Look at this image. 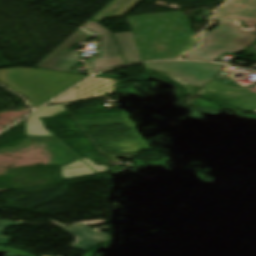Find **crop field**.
Instances as JSON below:
<instances>
[{
	"label": "crop field",
	"mask_w": 256,
	"mask_h": 256,
	"mask_svg": "<svg viewBox=\"0 0 256 256\" xmlns=\"http://www.w3.org/2000/svg\"><path fill=\"white\" fill-rule=\"evenodd\" d=\"M127 19L142 61L178 58L199 43L180 11Z\"/></svg>",
	"instance_id": "8a807250"
},
{
	"label": "crop field",
	"mask_w": 256,
	"mask_h": 256,
	"mask_svg": "<svg viewBox=\"0 0 256 256\" xmlns=\"http://www.w3.org/2000/svg\"><path fill=\"white\" fill-rule=\"evenodd\" d=\"M218 26L205 32L202 45L189 52L187 59L214 61L224 52L236 53L248 47L255 39L241 31L235 19L256 22V0H230L216 12Z\"/></svg>",
	"instance_id": "ac0d7876"
},
{
	"label": "crop field",
	"mask_w": 256,
	"mask_h": 256,
	"mask_svg": "<svg viewBox=\"0 0 256 256\" xmlns=\"http://www.w3.org/2000/svg\"><path fill=\"white\" fill-rule=\"evenodd\" d=\"M91 31L103 37L101 43L99 44L101 46L100 52L102 57H97L94 59V62L87 63L92 73L125 63L120 55L112 34L102 25L90 20L36 66L69 72L80 62L77 61L74 54L68 50Z\"/></svg>",
	"instance_id": "34b2d1b8"
},
{
	"label": "crop field",
	"mask_w": 256,
	"mask_h": 256,
	"mask_svg": "<svg viewBox=\"0 0 256 256\" xmlns=\"http://www.w3.org/2000/svg\"><path fill=\"white\" fill-rule=\"evenodd\" d=\"M146 68L182 80L188 85L183 93L192 95L224 66L203 62H160L144 64Z\"/></svg>",
	"instance_id": "412701ff"
},
{
	"label": "crop field",
	"mask_w": 256,
	"mask_h": 256,
	"mask_svg": "<svg viewBox=\"0 0 256 256\" xmlns=\"http://www.w3.org/2000/svg\"><path fill=\"white\" fill-rule=\"evenodd\" d=\"M196 95L249 112L256 109V85L245 90L233 83L213 79Z\"/></svg>",
	"instance_id": "f4fd0767"
},
{
	"label": "crop field",
	"mask_w": 256,
	"mask_h": 256,
	"mask_svg": "<svg viewBox=\"0 0 256 256\" xmlns=\"http://www.w3.org/2000/svg\"><path fill=\"white\" fill-rule=\"evenodd\" d=\"M63 227L67 232L77 236V242L71 247L72 249L86 251L100 241L107 240L108 235L98 232V228L91 230L85 224H77L71 228ZM101 243V242H100Z\"/></svg>",
	"instance_id": "dd49c442"
},
{
	"label": "crop field",
	"mask_w": 256,
	"mask_h": 256,
	"mask_svg": "<svg viewBox=\"0 0 256 256\" xmlns=\"http://www.w3.org/2000/svg\"><path fill=\"white\" fill-rule=\"evenodd\" d=\"M115 93V80L92 78L79 85L80 100L107 96Z\"/></svg>",
	"instance_id": "e52e79f7"
},
{
	"label": "crop field",
	"mask_w": 256,
	"mask_h": 256,
	"mask_svg": "<svg viewBox=\"0 0 256 256\" xmlns=\"http://www.w3.org/2000/svg\"><path fill=\"white\" fill-rule=\"evenodd\" d=\"M139 1L140 0H114L93 19L100 23L104 18L122 16Z\"/></svg>",
	"instance_id": "d8731c3e"
},
{
	"label": "crop field",
	"mask_w": 256,
	"mask_h": 256,
	"mask_svg": "<svg viewBox=\"0 0 256 256\" xmlns=\"http://www.w3.org/2000/svg\"><path fill=\"white\" fill-rule=\"evenodd\" d=\"M127 63L141 61L130 32L114 34Z\"/></svg>",
	"instance_id": "5a996713"
},
{
	"label": "crop field",
	"mask_w": 256,
	"mask_h": 256,
	"mask_svg": "<svg viewBox=\"0 0 256 256\" xmlns=\"http://www.w3.org/2000/svg\"><path fill=\"white\" fill-rule=\"evenodd\" d=\"M79 97H78V87L73 89L72 91L66 93L65 95L61 96L60 98L56 99L55 101H53L50 104H54V103H58V102H74V101H78Z\"/></svg>",
	"instance_id": "3316defc"
},
{
	"label": "crop field",
	"mask_w": 256,
	"mask_h": 256,
	"mask_svg": "<svg viewBox=\"0 0 256 256\" xmlns=\"http://www.w3.org/2000/svg\"><path fill=\"white\" fill-rule=\"evenodd\" d=\"M9 225L18 226L19 224L0 221V244L7 245L8 243L9 238L1 236L3 234L4 229L7 228Z\"/></svg>",
	"instance_id": "28ad6ade"
},
{
	"label": "crop field",
	"mask_w": 256,
	"mask_h": 256,
	"mask_svg": "<svg viewBox=\"0 0 256 256\" xmlns=\"http://www.w3.org/2000/svg\"><path fill=\"white\" fill-rule=\"evenodd\" d=\"M98 77H108V78L120 79L119 76L105 75V74H100V75H98Z\"/></svg>",
	"instance_id": "d1516ede"
},
{
	"label": "crop field",
	"mask_w": 256,
	"mask_h": 256,
	"mask_svg": "<svg viewBox=\"0 0 256 256\" xmlns=\"http://www.w3.org/2000/svg\"><path fill=\"white\" fill-rule=\"evenodd\" d=\"M104 222H106V221L105 220H99V221L85 222V223L93 225V224H99V223H104Z\"/></svg>",
	"instance_id": "22f410ed"
},
{
	"label": "crop field",
	"mask_w": 256,
	"mask_h": 256,
	"mask_svg": "<svg viewBox=\"0 0 256 256\" xmlns=\"http://www.w3.org/2000/svg\"><path fill=\"white\" fill-rule=\"evenodd\" d=\"M49 221H51V222H53V223H55V224H61V223L56 222V221H52V220H49Z\"/></svg>",
	"instance_id": "cbeb9de0"
},
{
	"label": "crop field",
	"mask_w": 256,
	"mask_h": 256,
	"mask_svg": "<svg viewBox=\"0 0 256 256\" xmlns=\"http://www.w3.org/2000/svg\"><path fill=\"white\" fill-rule=\"evenodd\" d=\"M251 113H254V114H256V110H255V111H253V112H251Z\"/></svg>",
	"instance_id": "5142ce71"
}]
</instances>
